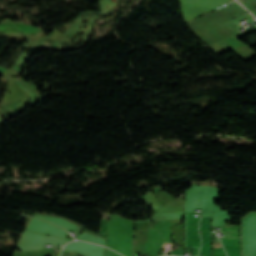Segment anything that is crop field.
<instances>
[{
	"label": "crop field",
	"mask_w": 256,
	"mask_h": 256,
	"mask_svg": "<svg viewBox=\"0 0 256 256\" xmlns=\"http://www.w3.org/2000/svg\"><path fill=\"white\" fill-rule=\"evenodd\" d=\"M242 256H256V212L242 217Z\"/></svg>",
	"instance_id": "crop-field-1"
},
{
	"label": "crop field",
	"mask_w": 256,
	"mask_h": 256,
	"mask_svg": "<svg viewBox=\"0 0 256 256\" xmlns=\"http://www.w3.org/2000/svg\"><path fill=\"white\" fill-rule=\"evenodd\" d=\"M134 227H135V222L132 221L131 241H130V252H129V256H132V244H133Z\"/></svg>",
	"instance_id": "crop-field-2"
}]
</instances>
